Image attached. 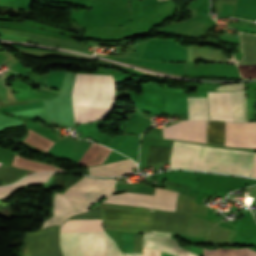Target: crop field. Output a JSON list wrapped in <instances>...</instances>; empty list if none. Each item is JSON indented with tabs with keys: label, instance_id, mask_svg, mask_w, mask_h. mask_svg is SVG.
Returning a JSON list of instances; mask_svg holds the SVG:
<instances>
[{
	"label": "crop field",
	"instance_id": "obj_1",
	"mask_svg": "<svg viewBox=\"0 0 256 256\" xmlns=\"http://www.w3.org/2000/svg\"><path fill=\"white\" fill-rule=\"evenodd\" d=\"M253 154L174 141L171 168L249 176Z\"/></svg>",
	"mask_w": 256,
	"mask_h": 256
},
{
	"label": "crop field",
	"instance_id": "obj_2",
	"mask_svg": "<svg viewBox=\"0 0 256 256\" xmlns=\"http://www.w3.org/2000/svg\"><path fill=\"white\" fill-rule=\"evenodd\" d=\"M115 85L111 75L77 74L73 104L113 105ZM73 105L75 123H88L107 116L113 106Z\"/></svg>",
	"mask_w": 256,
	"mask_h": 256
},
{
	"label": "crop field",
	"instance_id": "obj_3",
	"mask_svg": "<svg viewBox=\"0 0 256 256\" xmlns=\"http://www.w3.org/2000/svg\"><path fill=\"white\" fill-rule=\"evenodd\" d=\"M115 179L84 177L66 188L65 194H56L55 215L43 228L61 224L68 216L86 212L89 206L104 195H111Z\"/></svg>",
	"mask_w": 256,
	"mask_h": 256
},
{
	"label": "crop field",
	"instance_id": "obj_4",
	"mask_svg": "<svg viewBox=\"0 0 256 256\" xmlns=\"http://www.w3.org/2000/svg\"><path fill=\"white\" fill-rule=\"evenodd\" d=\"M64 256H123L105 232L60 233Z\"/></svg>",
	"mask_w": 256,
	"mask_h": 256
},
{
	"label": "crop field",
	"instance_id": "obj_5",
	"mask_svg": "<svg viewBox=\"0 0 256 256\" xmlns=\"http://www.w3.org/2000/svg\"><path fill=\"white\" fill-rule=\"evenodd\" d=\"M155 211L143 207L102 204L105 228L150 234Z\"/></svg>",
	"mask_w": 256,
	"mask_h": 256
},
{
	"label": "crop field",
	"instance_id": "obj_6",
	"mask_svg": "<svg viewBox=\"0 0 256 256\" xmlns=\"http://www.w3.org/2000/svg\"><path fill=\"white\" fill-rule=\"evenodd\" d=\"M215 226L197 217H192L187 234L195 237H206ZM171 234L152 231L151 235L144 234L143 247L171 253L175 256H197L187 249L179 248Z\"/></svg>",
	"mask_w": 256,
	"mask_h": 256
},
{
	"label": "crop field",
	"instance_id": "obj_7",
	"mask_svg": "<svg viewBox=\"0 0 256 256\" xmlns=\"http://www.w3.org/2000/svg\"><path fill=\"white\" fill-rule=\"evenodd\" d=\"M194 199L195 197L179 193L176 212L156 210L152 230L185 235L192 215Z\"/></svg>",
	"mask_w": 256,
	"mask_h": 256
},
{
	"label": "crop field",
	"instance_id": "obj_8",
	"mask_svg": "<svg viewBox=\"0 0 256 256\" xmlns=\"http://www.w3.org/2000/svg\"><path fill=\"white\" fill-rule=\"evenodd\" d=\"M59 226L26 233L20 256H62L58 243Z\"/></svg>",
	"mask_w": 256,
	"mask_h": 256
},
{
	"label": "crop field",
	"instance_id": "obj_9",
	"mask_svg": "<svg viewBox=\"0 0 256 256\" xmlns=\"http://www.w3.org/2000/svg\"><path fill=\"white\" fill-rule=\"evenodd\" d=\"M176 197L177 193L156 188L154 196L121 193L110 196L104 202L138 205L154 209L175 211Z\"/></svg>",
	"mask_w": 256,
	"mask_h": 256
},
{
	"label": "crop field",
	"instance_id": "obj_10",
	"mask_svg": "<svg viewBox=\"0 0 256 256\" xmlns=\"http://www.w3.org/2000/svg\"><path fill=\"white\" fill-rule=\"evenodd\" d=\"M24 141L44 150L45 152L54 143L31 130H29V135L26 139H24ZM110 151L111 150L108 148L93 143L85 152V154L80 158L78 163L87 166L103 163Z\"/></svg>",
	"mask_w": 256,
	"mask_h": 256
},
{
	"label": "crop field",
	"instance_id": "obj_11",
	"mask_svg": "<svg viewBox=\"0 0 256 256\" xmlns=\"http://www.w3.org/2000/svg\"><path fill=\"white\" fill-rule=\"evenodd\" d=\"M162 131L164 138L206 143L205 121H182Z\"/></svg>",
	"mask_w": 256,
	"mask_h": 256
},
{
	"label": "crop field",
	"instance_id": "obj_12",
	"mask_svg": "<svg viewBox=\"0 0 256 256\" xmlns=\"http://www.w3.org/2000/svg\"><path fill=\"white\" fill-rule=\"evenodd\" d=\"M84 218H101L100 207L97 206L86 213L72 216L69 219ZM82 231H104L101 227V219L66 220L60 228V232Z\"/></svg>",
	"mask_w": 256,
	"mask_h": 256
},
{
	"label": "crop field",
	"instance_id": "obj_13",
	"mask_svg": "<svg viewBox=\"0 0 256 256\" xmlns=\"http://www.w3.org/2000/svg\"><path fill=\"white\" fill-rule=\"evenodd\" d=\"M188 76H220L241 78L236 65L228 64H204L198 68L188 66Z\"/></svg>",
	"mask_w": 256,
	"mask_h": 256
},
{
	"label": "crop field",
	"instance_id": "obj_14",
	"mask_svg": "<svg viewBox=\"0 0 256 256\" xmlns=\"http://www.w3.org/2000/svg\"><path fill=\"white\" fill-rule=\"evenodd\" d=\"M208 95L210 103V119L224 120L225 116V120L233 121L230 92H222L224 116L221 92H208Z\"/></svg>",
	"mask_w": 256,
	"mask_h": 256
},
{
	"label": "crop field",
	"instance_id": "obj_15",
	"mask_svg": "<svg viewBox=\"0 0 256 256\" xmlns=\"http://www.w3.org/2000/svg\"><path fill=\"white\" fill-rule=\"evenodd\" d=\"M137 167L133 160L127 159L89 168L90 175L120 176L132 172Z\"/></svg>",
	"mask_w": 256,
	"mask_h": 256
},
{
	"label": "crop field",
	"instance_id": "obj_16",
	"mask_svg": "<svg viewBox=\"0 0 256 256\" xmlns=\"http://www.w3.org/2000/svg\"><path fill=\"white\" fill-rule=\"evenodd\" d=\"M189 119H208L206 98H186Z\"/></svg>",
	"mask_w": 256,
	"mask_h": 256
},
{
	"label": "crop field",
	"instance_id": "obj_17",
	"mask_svg": "<svg viewBox=\"0 0 256 256\" xmlns=\"http://www.w3.org/2000/svg\"><path fill=\"white\" fill-rule=\"evenodd\" d=\"M207 143L225 146L224 121H208Z\"/></svg>",
	"mask_w": 256,
	"mask_h": 256
},
{
	"label": "crop field",
	"instance_id": "obj_18",
	"mask_svg": "<svg viewBox=\"0 0 256 256\" xmlns=\"http://www.w3.org/2000/svg\"><path fill=\"white\" fill-rule=\"evenodd\" d=\"M234 121H248L245 90L231 92Z\"/></svg>",
	"mask_w": 256,
	"mask_h": 256
},
{
	"label": "crop field",
	"instance_id": "obj_19",
	"mask_svg": "<svg viewBox=\"0 0 256 256\" xmlns=\"http://www.w3.org/2000/svg\"><path fill=\"white\" fill-rule=\"evenodd\" d=\"M12 164L17 167H21V168H24L27 170H34L37 172H40V171H65V170H62L53 165L30 161L25 158L19 157L17 155L14 156Z\"/></svg>",
	"mask_w": 256,
	"mask_h": 256
},
{
	"label": "crop field",
	"instance_id": "obj_20",
	"mask_svg": "<svg viewBox=\"0 0 256 256\" xmlns=\"http://www.w3.org/2000/svg\"><path fill=\"white\" fill-rule=\"evenodd\" d=\"M170 150L171 148L150 146L146 165L169 163Z\"/></svg>",
	"mask_w": 256,
	"mask_h": 256
},
{
	"label": "crop field",
	"instance_id": "obj_21",
	"mask_svg": "<svg viewBox=\"0 0 256 256\" xmlns=\"http://www.w3.org/2000/svg\"><path fill=\"white\" fill-rule=\"evenodd\" d=\"M53 173H40V174H35L30 177H27L20 182L4 187H0V198H4L10 191L16 189L20 185L23 184H28V183H35V182H42V181H47L48 178L52 175Z\"/></svg>",
	"mask_w": 256,
	"mask_h": 256
},
{
	"label": "crop field",
	"instance_id": "obj_22",
	"mask_svg": "<svg viewBox=\"0 0 256 256\" xmlns=\"http://www.w3.org/2000/svg\"><path fill=\"white\" fill-rule=\"evenodd\" d=\"M3 165L0 163V166ZM27 175V171L14 168L10 165L4 164L0 167V179H2L3 185L15 182L16 180Z\"/></svg>",
	"mask_w": 256,
	"mask_h": 256
},
{
	"label": "crop field",
	"instance_id": "obj_23",
	"mask_svg": "<svg viewBox=\"0 0 256 256\" xmlns=\"http://www.w3.org/2000/svg\"><path fill=\"white\" fill-rule=\"evenodd\" d=\"M233 235L234 231L217 225L205 243L227 244Z\"/></svg>",
	"mask_w": 256,
	"mask_h": 256
},
{
	"label": "crop field",
	"instance_id": "obj_24",
	"mask_svg": "<svg viewBox=\"0 0 256 256\" xmlns=\"http://www.w3.org/2000/svg\"><path fill=\"white\" fill-rule=\"evenodd\" d=\"M205 256H247L246 248L240 249H217L214 251L204 250Z\"/></svg>",
	"mask_w": 256,
	"mask_h": 256
},
{
	"label": "crop field",
	"instance_id": "obj_25",
	"mask_svg": "<svg viewBox=\"0 0 256 256\" xmlns=\"http://www.w3.org/2000/svg\"><path fill=\"white\" fill-rule=\"evenodd\" d=\"M143 235L135 234L134 253H142Z\"/></svg>",
	"mask_w": 256,
	"mask_h": 256
},
{
	"label": "crop field",
	"instance_id": "obj_26",
	"mask_svg": "<svg viewBox=\"0 0 256 256\" xmlns=\"http://www.w3.org/2000/svg\"><path fill=\"white\" fill-rule=\"evenodd\" d=\"M242 88H244L243 83H239V84L222 85L216 89L223 90V91H229V90L242 89Z\"/></svg>",
	"mask_w": 256,
	"mask_h": 256
},
{
	"label": "crop field",
	"instance_id": "obj_27",
	"mask_svg": "<svg viewBox=\"0 0 256 256\" xmlns=\"http://www.w3.org/2000/svg\"><path fill=\"white\" fill-rule=\"evenodd\" d=\"M206 212H207V207L206 206L199 205V204L195 203L194 211H193L194 214H198V215L206 217Z\"/></svg>",
	"mask_w": 256,
	"mask_h": 256
},
{
	"label": "crop field",
	"instance_id": "obj_28",
	"mask_svg": "<svg viewBox=\"0 0 256 256\" xmlns=\"http://www.w3.org/2000/svg\"><path fill=\"white\" fill-rule=\"evenodd\" d=\"M251 176L256 177V155H255V159H254V163H253V167H252Z\"/></svg>",
	"mask_w": 256,
	"mask_h": 256
},
{
	"label": "crop field",
	"instance_id": "obj_29",
	"mask_svg": "<svg viewBox=\"0 0 256 256\" xmlns=\"http://www.w3.org/2000/svg\"><path fill=\"white\" fill-rule=\"evenodd\" d=\"M248 252V256H256V252H254L253 250H247Z\"/></svg>",
	"mask_w": 256,
	"mask_h": 256
},
{
	"label": "crop field",
	"instance_id": "obj_30",
	"mask_svg": "<svg viewBox=\"0 0 256 256\" xmlns=\"http://www.w3.org/2000/svg\"><path fill=\"white\" fill-rule=\"evenodd\" d=\"M125 256H142V254H124Z\"/></svg>",
	"mask_w": 256,
	"mask_h": 256
}]
</instances>
